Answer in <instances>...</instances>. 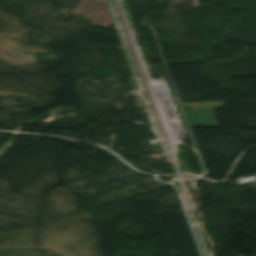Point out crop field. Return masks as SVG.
<instances>
[{
	"label": "crop field",
	"mask_w": 256,
	"mask_h": 256,
	"mask_svg": "<svg viewBox=\"0 0 256 256\" xmlns=\"http://www.w3.org/2000/svg\"><path fill=\"white\" fill-rule=\"evenodd\" d=\"M191 125L218 126L209 103L182 104ZM212 108L224 106L223 102L211 103Z\"/></svg>",
	"instance_id": "crop-field-1"
}]
</instances>
